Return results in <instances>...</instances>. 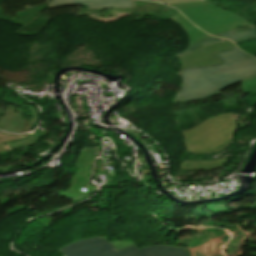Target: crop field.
I'll list each match as a JSON object with an SVG mask.
<instances>
[{
  "instance_id": "1",
  "label": "crop field",
  "mask_w": 256,
  "mask_h": 256,
  "mask_svg": "<svg viewBox=\"0 0 256 256\" xmlns=\"http://www.w3.org/2000/svg\"><path fill=\"white\" fill-rule=\"evenodd\" d=\"M220 64L180 69L182 86L173 102L192 101L215 94L239 81L256 77V59L237 47L215 53Z\"/></svg>"
},
{
  "instance_id": "2",
  "label": "crop field",
  "mask_w": 256,
  "mask_h": 256,
  "mask_svg": "<svg viewBox=\"0 0 256 256\" xmlns=\"http://www.w3.org/2000/svg\"><path fill=\"white\" fill-rule=\"evenodd\" d=\"M57 251L62 256H188L185 247L151 245L139 249L134 241H109L105 236L80 238Z\"/></svg>"
},
{
  "instance_id": "3",
  "label": "crop field",
  "mask_w": 256,
  "mask_h": 256,
  "mask_svg": "<svg viewBox=\"0 0 256 256\" xmlns=\"http://www.w3.org/2000/svg\"><path fill=\"white\" fill-rule=\"evenodd\" d=\"M232 113L214 116L193 129L183 131L187 151L193 153H213L229 144L236 120Z\"/></svg>"
},
{
  "instance_id": "4",
  "label": "crop field",
  "mask_w": 256,
  "mask_h": 256,
  "mask_svg": "<svg viewBox=\"0 0 256 256\" xmlns=\"http://www.w3.org/2000/svg\"><path fill=\"white\" fill-rule=\"evenodd\" d=\"M165 4L179 9L192 23L211 35L251 25L237 14L207 1Z\"/></svg>"
},
{
  "instance_id": "5",
  "label": "crop field",
  "mask_w": 256,
  "mask_h": 256,
  "mask_svg": "<svg viewBox=\"0 0 256 256\" xmlns=\"http://www.w3.org/2000/svg\"><path fill=\"white\" fill-rule=\"evenodd\" d=\"M26 111L29 110L31 115L30 121H26L25 117L22 116L18 106L7 105L4 116L0 119V127L3 130L11 132H25L29 131L32 125L37 126L39 123V116L35 107L24 106Z\"/></svg>"
},
{
  "instance_id": "6",
  "label": "crop field",
  "mask_w": 256,
  "mask_h": 256,
  "mask_svg": "<svg viewBox=\"0 0 256 256\" xmlns=\"http://www.w3.org/2000/svg\"><path fill=\"white\" fill-rule=\"evenodd\" d=\"M135 0H52L47 9L84 5L87 9L134 8Z\"/></svg>"
},
{
  "instance_id": "7",
  "label": "crop field",
  "mask_w": 256,
  "mask_h": 256,
  "mask_svg": "<svg viewBox=\"0 0 256 256\" xmlns=\"http://www.w3.org/2000/svg\"><path fill=\"white\" fill-rule=\"evenodd\" d=\"M170 20L174 21L175 23L179 24L185 32L189 35L190 43L189 46L193 45L194 43L206 38L209 36L208 34L204 33L203 31L199 30L195 26H193L182 14H177L176 16L172 17Z\"/></svg>"
},
{
  "instance_id": "8",
  "label": "crop field",
  "mask_w": 256,
  "mask_h": 256,
  "mask_svg": "<svg viewBox=\"0 0 256 256\" xmlns=\"http://www.w3.org/2000/svg\"><path fill=\"white\" fill-rule=\"evenodd\" d=\"M213 36L227 38L231 41H234L235 43H238V42L248 40L250 38H256V28H255V25H253L251 27L235 29V30L220 33Z\"/></svg>"
},
{
  "instance_id": "9",
  "label": "crop field",
  "mask_w": 256,
  "mask_h": 256,
  "mask_svg": "<svg viewBox=\"0 0 256 256\" xmlns=\"http://www.w3.org/2000/svg\"><path fill=\"white\" fill-rule=\"evenodd\" d=\"M226 158L216 159L213 161H183L180 169L185 170H201V169H212L222 166L226 162Z\"/></svg>"
},
{
  "instance_id": "10",
  "label": "crop field",
  "mask_w": 256,
  "mask_h": 256,
  "mask_svg": "<svg viewBox=\"0 0 256 256\" xmlns=\"http://www.w3.org/2000/svg\"><path fill=\"white\" fill-rule=\"evenodd\" d=\"M220 40H223V39L215 38V37L210 36V37H208V38H206V39H204V40H202V41H200V42L194 44L193 46L189 47L188 49L184 50L183 52H181V53L178 54L177 56H180V55H182V54H185V53H187V52H190V51H192V50H195V49H197V48H200V47H202V46H205V45H208V44H211V43H213V42L220 41Z\"/></svg>"
},
{
  "instance_id": "11",
  "label": "crop field",
  "mask_w": 256,
  "mask_h": 256,
  "mask_svg": "<svg viewBox=\"0 0 256 256\" xmlns=\"http://www.w3.org/2000/svg\"><path fill=\"white\" fill-rule=\"evenodd\" d=\"M25 137H28V135H9V134L0 132V143L6 142V141L19 140Z\"/></svg>"
},
{
  "instance_id": "12",
  "label": "crop field",
  "mask_w": 256,
  "mask_h": 256,
  "mask_svg": "<svg viewBox=\"0 0 256 256\" xmlns=\"http://www.w3.org/2000/svg\"><path fill=\"white\" fill-rule=\"evenodd\" d=\"M157 2H177V1H189V0H155Z\"/></svg>"
},
{
  "instance_id": "13",
  "label": "crop field",
  "mask_w": 256,
  "mask_h": 256,
  "mask_svg": "<svg viewBox=\"0 0 256 256\" xmlns=\"http://www.w3.org/2000/svg\"><path fill=\"white\" fill-rule=\"evenodd\" d=\"M2 151H5V149H4V147H3L2 143H1L0 144V152H2Z\"/></svg>"
},
{
  "instance_id": "14",
  "label": "crop field",
  "mask_w": 256,
  "mask_h": 256,
  "mask_svg": "<svg viewBox=\"0 0 256 256\" xmlns=\"http://www.w3.org/2000/svg\"><path fill=\"white\" fill-rule=\"evenodd\" d=\"M151 1H154V0H151Z\"/></svg>"
}]
</instances>
